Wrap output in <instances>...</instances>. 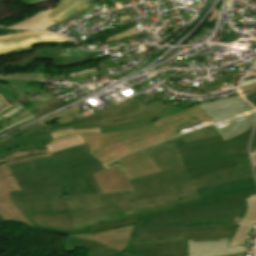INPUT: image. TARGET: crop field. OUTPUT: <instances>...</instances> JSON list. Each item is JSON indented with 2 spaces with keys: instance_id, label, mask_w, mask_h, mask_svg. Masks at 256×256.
Returning <instances> with one entry per match:
<instances>
[{
  "instance_id": "8a807250",
  "label": "crop field",
  "mask_w": 256,
  "mask_h": 256,
  "mask_svg": "<svg viewBox=\"0 0 256 256\" xmlns=\"http://www.w3.org/2000/svg\"><path fill=\"white\" fill-rule=\"evenodd\" d=\"M9 168L21 189L11 192V199L34 228L65 234L89 232L88 227L74 230L64 201L101 193L91 173L104 166L89 154L85 144Z\"/></svg>"
},
{
  "instance_id": "ac0d7876",
  "label": "crop field",
  "mask_w": 256,
  "mask_h": 256,
  "mask_svg": "<svg viewBox=\"0 0 256 256\" xmlns=\"http://www.w3.org/2000/svg\"><path fill=\"white\" fill-rule=\"evenodd\" d=\"M256 111L227 120L217 126L220 136L185 144L174 141L183 164L129 179L135 200L170 194L169 187L213 171L238 166L237 159L248 157L247 143Z\"/></svg>"
},
{
  "instance_id": "34b2d1b8",
  "label": "crop field",
  "mask_w": 256,
  "mask_h": 256,
  "mask_svg": "<svg viewBox=\"0 0 256 256\" xmlns=\"http://www.w3.org/2000/svg\"><path fill=\"white\" fill-rule=\"evenodd\" d=\"M253 109L237 95L196 104L138 128L108 133L81 134V136L90 154L92 153L98 160L106 164L127 153L176 136V134H182L180 129L195 123L206 121L216 123Z\"/></svg>"
},
{
  "instance_id": "412701ff",
  "label": "crop field",
  "mask_w": 256,
  "mask_h": 256,
  "mask_svg": "<svg viewBox=\"0 0 256 256\" xmlns=\"http://www.w3.org/2000/svg\"><path fill=\"white\" fill-rule=\"evenodd\" d=\"M65 201L74 228L89 226L91 234L136 224L139 216L131 191L82 196Z\"/></svg>"
},
{
  "instance_id": "f4fd0767",
  "label": "crop field",
  "mask_w": 256,
  "mask_h": 256,
  "mask_svg": "<svg viewBox=\"0 0 256 256\" xmlns=\"http://www.w3.org/2000/svg\"><path fill=\"white\" fill-rule=\"evenodd\" d=\"M180 110L182 109L172 104L165 107L159 101L144 109L130 98L109 109L51 127L48 130L52 132L65 128L80 129L93 127H100L101 132L124 130L148 124L155 119Z\"/></svg>"
},
{
  "instance_id": "dd49c442",
  "label": "crop field",
  "mask_w": 256,
  "mask_h": 256,
  "mask_svg": "<svg viewBox=\"0 0 256 256\" xmlns=\"http://www.w3.org/2000/svg\"><path fill=\"white\" fill-rule=\"evenodd\" d=\"M256 194L255 190L222 195L206 200H195L173 208L142 214L137 227L162 224L182 220L212 217H242L245 210L244 198Z\"/></svg>"
},
{
  "instance_id": "e52e79f7",
  "label": "crop field",
  "mask_w": 256,
  "mask_h": 256,
  "mask_svg": "<svg viewBox=\"0 0 256 256\" xmlns=\"http://www.w3.org/2000/svg\"><path fill=\"white\" fill-rule=\"evenodd\" d=\"M238 163L239 167L206 174L171 187L173 194L136 202L140 214L199 199L194 188L213 185L253 175L248 158L240 159L238 160Z\"/></svg>"
},
{
  "instance_id": "d8731c3e",
  "label": "crop field",
  "mask_w": 256,
  "mask_h": 256,
  "mask_svg": "<svg viewBox=\"0 0 256 256\" xmlns=\"http://www.w3.org/2000/svg\"><path fill=\"white\" fill-rule=\"evenodd\" d=\"M116 162H119L126 179L160 171L182 163L173 141L168 144L164 141L142 149L105 166L108 167Z\"/></svg>"
},
{
  "instance_id": "5a996713",
  "label": "crop field",
  "mask_w": 256,
  "mask_h": 256,
  "mask_svg": "<svg viewBox=\"0 0 256 256\" xmlns=\"http://www.w3.org/2000/svg\"><path fill=\"white\" fill-rule=\"evenodd\" d=\"M48 155L49 153L47 149L43 148L13 153L0 160V218L3 221L21 222L32 227L10 199L9 192L19 190V187L11 175L7 165Z\"/></svg>"
},
{
  "instance_id": "3316defc",
  "label": "crop field",
  "mask_w": 256,
  "mask_h": 256,
  "mask_svg": "<svg viewBox=\"0 0 256 256\" xmlns=\"http://www.w3.org/2000/svg\"><path fill=\"white\" fill-rule=\"evenodd\" d=\"M47 127L39 122L7 137L0 139V159L20 150L45 147L44 143L52 140Z\"/></svg>"
},
{
  "instance_id": "28ad6ade",
  "label": "crop field",
  "mask_w": 256,
  "mask_h": 256,
  "mask_svg": "<svg viewBox=\"0 0 256 256\" xmlns=\"http://www.w3.org/2000/svg\"><path fill=\"white\" fill-rule=\"evenodd\" d=\"M180 234H184L185 238L183 239L232 238L234 231L210 230V231H199V232H186V233H178V234H170V235L141 237V238H135L132 240L149 239V238H157V237L180 235ZM177 240H181V239H177ZM163 252H164V241L129 245L126 251V253L132 254L135 256H163Z\"/></svg>"
},
{
  "instance_id": "d1516ede",
  "label": "crop field",
  "mask_w": 256,
  "mask_h": 256,
  "mask_svg": "<svg viewBox=\"0 0 256 256\" xmlns=\"http://www.w3.org/2000/svg\"><path fill=\"white\" fill-rule=\"evenodd\" d=\"M55 41L68 40L53 33L34 31L0 36V55L31 48L30 43Z\"/></svg>"
},
{
  "instance_id": "22f410ed",
  "label": "crop field",
  "mask_w": 256,
  "mask_h": 256,
  "mask_svg": "<svg viewBox=\"0 0 256 256\" xmlns=\"http://www.w3.org/2000/svg\"><path fill=\"white\" fill-rule=\"evenodd\" d=\"M229 241L230 239L187 240L188 256H222L246 252L247 245L226 247Z\"/></svg>"
},
{
  "instance_id": "cbeb9de0",
  "label": "crop field",
  "mask_w": 256,
  "mask_h": 256,
  "mask_svg": "<svg viewBox=\"0 0 256 256\" xmlns=\"http://www.w3.org/2000/svg\"><path fill=\"white\" fill-rule=\"evenodd\" d=\"M136 225H130L102 233H97L90 235L87 234H81V235H72L76 237H83L88 238L94 241L102 242L111 245L112 247L125 252L128 243L131 239V236L133 234V230Z\"/></svg>"
},
{
  "instance_id": "5142ce71",
  "label": "crop field",
  "mask_w": 256,
  "mask_h": 256,
  "mask_svg": "<svg viewBox=\"0 0 256 256\" xmlns=\"http://www.w3.org/2000/svg\"><path fill=\"white\" fill-rule=\"evenodd\" d=\"M102 193L131 190L119 166L93 173Z\"/></svg>"
},
{
  "instance_id": "d9b57169",
  "label": "crop field",
  "mask_w": 256,
  "mask_h": 256,
  "mask_svg": "<svg viewBox=\"0 0 256 256\" xmlns=\"http://www.w3.org/2000/svg\"><path fill=\"white\" fill-rule=\"evenodd\" d=\"M255 188H256V184L252 176V177L235 180L231 182H226L222 184H217L213 186L197 188L196 191L200 199L203 200V199L214 197L217 195L240 192V191H245V190H250Z\"/></svg>"
},
{
  "instance_id": "733c2abd",
  "label": "crop field",
  "mask_w": 256,
  "mask_h": 256,
  "mask_svg": "<svg viewBox=\"0 0 256 256\" xmlns=\"http://www.w3.org/2000/svg\"><path fill=\"white\" fill-rule=\"evenodd\" d=\"M92 132H100V130L99 128L80 129V130L65 129V130L53 132L51 134L54 140L46 143L45 145L48 148L50 153L55 152L58 150L83 144L84 141L82 140L79 133H92Z\"/></svg>"
},
{
  "instance_id": "4a817a6b",
  "label": "crop field",
  "mask_w": 256,
  "mask_h": 256,
  "mask_svg": "<svg viewBox=\"0 0 256 256\" xmlns=\"http://www.w3.org/2000/svg\"><path fill=\"white\" fill-rule=\"evenodd\" d=\"M75 247L90 249L88 256H126L101 243L75 237H68L63 250L73 251Z\"/></svg>"
},
{
  "instance_id": "bc2a9ffb",
  "label": "crop field",
  "mask_w": 256,
  "mask_h": 256,
  "mask_svg": "<svg viewBox=\"0 0 256 256\" xmlns=\"http://www.w3.org/2000/svg\"><path fill=\"white\" fill-rule=\"evenodd\" d=\"M236 227L237 225H233V224H221V225H199V226H191V227L167 228V229L137 232L133 234L132 238L140 237V236L160 235V234H170V233L210 230V229L235 230Z\"/></svg>"
},
{
  "instance_id": "214f88e0",
  "label": "crop field",
  "mask_w": 256,
  "mask_h": 256,
  "mask_svg": "<svg viewBox=\"0 0 256 256\" xmlns=\"http://www.w3.org/2000/svg\"><path fill=\"white\" fill-rule=\"evenodd\" d=\"M240 219L241 218H213V219H205V220L174 222V223H168V224H162V225L142 227V228L136 229L134 232L158 229V228H166V227L191 226V225H199V224H221V223L238 224Z\"/></svg>"
},
{
  "instance_id": "92a150f3",
  "label": "crop field",
  "mask_w": 256,
  "mask_h": 256,
  "mask_svg": "<svg viewBox=\"0 0 256 256\" xmlns=\"http://www.w3.org/2000/svg\"><path fill=\"white\" fill-rule=\"evenodd\" d=\"M219 135L216 128L213 125L206 126L204 128L197 129L192 132H188L186 134H183L181 136L175 137L173 139L168 140V142L176 139L183 138L185 143L200 140V139H205L213 136Z\"/></svg>"
},
{
  "instance_id": "dafd665d",
  "label": "crop field",
  "mask_w": 256,
  "mask_h": 256,
  "mask_svg": "<svg viewBox=\"0 0 256 256\" xmlns=\"http://www.w3.org/2000/svg\"><path fill=\"white\" fill-rule=\"evenodd\" d=\"M81 116H84V114L80 110H78L75 106H72V107L65 109L57 114L49 116L41 121H42V123H45V122L57 119L58 123L60 124V123H63V122H66V121H69L72 119L79 118Z\"/></svg>"
},
{
  "instance_id": "00972430",
  "label": "crop field",
  "mask_w": 256,
  "mask_h": 256,
  "mask_svg": "<svg viewBox=\"0 0 256 256\" xmlns=\"http://www.w3.org/2000/svg\"><path fill=\"white\" fill-rule=\"evenodd\" d=\"M164 256H187L186 240L165 242Z\"/></svg>"
},
{
  "instance_id": "a9b5d70f",
  "label": "crop field",
  "mask_w": 256,
  "mask_h": 256,
  "mask_svg": "<svg viewBox=\"0 0 256 256\" xmlns=\"http://www.w3.org/2000/svg\"><path fill=\"white\" fill-rule=\"evenodd\" d=\"M246 200V210L240 223H256V195Z\"/></svg>"
},
{
  "instance_id": "4177f3b9",
  "label": "crop field",
  "mask_w": 256,
  "mask_h": 256,
  "mask_svg": "<svg viewBox=\"0 0 256 256\" xmlns=\"http://www.w3.org/2000/svg\"><path fill=\"white\" fill-rule=\"evenodd\" d=\"M251 226H252V224H239V226H238L232 240L228 244V246L244 244V241L249 233Z\"/></svg>"
},
{
  "instance_id": "730fd06b",
  "label": "crop field",
  "mask_w": 256,
  "mask_h": 256,
  "mask_svg": "<svg viewBox=\"0 0 256 256\" xmlns=\"http://www.w3.org/2000/svg\"><path fill=\"white\" fill-rule=\"evenodd\" d=\"M77 2L79 1L78 0H62L55 6V8L50 13H48L45 16V18L53 20L54 18H56L58 15H60L62 12H64L65 10H67L69 7H71Z\"/></svg>"
},
{
  "instance_id": "eef30255",
  "label": "crop field",
  "mask_w": 256,
  "mask_h": 256,
  "mask_svg": "<svg viewBox=\"0 0 256 256\" xmlns=\"http://www.w3.org/2000/svg\"><path fill=\"white\" fill-rule=\"evenodd\" d=\"M93 1H97V0H80L79 3L75 4L74 6L69 8L67 11L62 13L60 16H58L56 19H54V21L60 22L73 14L83 11L84 9L88 8L84 4H86L88 2H93Z\"/></svg>"
},
{
  "instance_id": "ae1a2a85",
  "label": "crop field",
  "mask_w": 256,
  "mask_h": 256,
  "mask_svg": "<svg viewBox=\"0 0 256 256\" xmlns=\"http://www.w3.org/2000/svg\"><path fill=\"white\" fill-rule=\"evenodd\" d=\"M28 81L41 82V81H38V80L0 79L1 83H7V84L22 86L20 89L17 90L20 93H43V91L26 88Z\"/></svg>"
},
{
  "instance_id": "d3111659",
  "label": "crop field",
  "mask_w": 256,
  "mask_h": 256,
  "mask_svg": "<svg viewBox=\"0 0 256 256\" xmlns=\"http://www.w3.org/2000/svg\"><path fill=\"white\" fill-rule=\"evenodd\" d=\"M141 34L138 29L136 28V26L131 27L119 34L113 35L111 37L106 38L107 40L104 41H100V42H96V43H92V44H97V43H102V42H107V41H112V40H118V39H123V38H127V37H131L134 35H138ZM89 45V44H86Z\"/></svg>"
},
{
  "instance_id": "750c4746",
  "label": "crop field",
  "mask_w": 256,
  "mask_h": 256,
  "mask_svg": "<svg viewBox=\"0 0 256 256\" xmlns=\"http://www.w3.org/2000/svg\"><path fill=\"white\" fill-rule=\"evenodd\" d=\"M48 103H51L50 105L46 106L45 108L41 109L40 111H38L37 113L33 114L35 117L51 110V109H54V108H57L59 106H62V105H65L67 104V102L62 98V99H59V98H56V99H51V100H48Z\"/></svg>"
},
{
  "instance_id": "bd1437ed",
  "label": "crop field",
  "mask_w": 256,
  "mask_h": 256,
  "mask_svg": "<svg viewBox=\"0 0 256 256\" xmlns=\"http://www.w3.org/2000/svg\"><path fill=\"white\" fill-rule=\"evenodd\" d=\"M6 77H13V78H29V79H42V74H32V75H6Z\"/></svg>"
},
{
  "instance_id": "1d83c4d3",
  "label": "crop field",
  "mask_w": 256,
  "mask_h": 256,
  "mask_svg": "<svg viewBox=\"0 0 256 256\" xmlns=\"http://www.w3.org/2000/svg\"><path fill=\"white\" fill-rule=\"evenodd\" d=\"M255 149H256V128H255V131H254L252 139H251L250 151L255 150Z\"/></svg>"
},
{
  "instance_id": "120bbe31",
  "label": "crop field",
  "mask_w": 256,
  "mask_h": 256,
  "mask_svg": "<svg viewBox=\"0 0 256 256\" xmlns=\"http://www.w3.org/2000/svg\"><path fill=\"white\" fill-rule=\"evenodd\" d=\"M10 105L0 96V111L8 108Z\"/></svg>"
},
{
  "instance_id": "d32e631a",
  "label": "crop field",
  "mask_w": 256,
  "mask_h": 256,
  "mask_svg": "<svg viewBox=\"0 0 256 256\" xmlns=\"http://www.w3.org/2000/svg\"><path fill=\"white\" fill-rule=\"evenodd\" d=\"M246 99L256 107V93L246 97Z\"/></svg>"
},
{
  "instance_id": "5866460e",
  "label": "crop field",
  "mask_w": 256,
  "mask_h": 256,
  "mask_svg": "<svg viewBox=\"0 0 256 256\" xmlns=\"http://www.w3.org/2000/svg\"><path fill=\"white\" fill-rule=\"evenodd\" d=\"M252 89H256V83H255V84H252V85H249V86H246V87L241 88V91H242V93H244V92H247V91H251Z\"/></svg>"
},
{
  "instance_id": "028f5c9d",
  "label": "crop field",
  "mask_w": 256,
  "mask_h": 256,
  "mask_svg": "<svg viewBox=\"0 0 256 256\" xmlns=\"http://www.w3.org/2000/svg\"><path fill=\"white\" fill-rule=\"evenodd\" d=\"M217 10L214 9V11L212 12L211 16L209 17L208 21L210 20H214L217 17Z\"/></svg>"
},
{
  "instance_id": "e1f06a70",
  "label": "crop field",
  "mask_w": 256,
  "mask_h": 256,
  "mask_svg": "<svg viewBox=\"0 0 256 256\" xmlns=\"http://www.w3.org/2000/svg\"><path fill=\"white\" fill-rule=\"evenodd\" d=\"M251 157H252V161L254 166L256 165V151H251Z\"/></svg>"
},
{
  "instance_id": "0bd39190",
  "label": "crop field",
  "mask_w": 256,
  "mask_h": 256,
  "mask_svg": "<svg viewBox=\"0 0 256 256\" xmlns=\"http://www.w3.org/2000/svg\"><path fill=\"white\" fill-rule=\"evenodd\" d=\"M111 1L116 5L117 8L121 7V4L119 2L121 0H111Z\"/></svg>"
},
{
  "instance_id": "b80d0937",
  "label": "crop field",
  "mask_w": 256,
  "mask_h": 256,
  "mask_svg": "<svg viewBox=\"0 0 256 256\" xmlns=\"http://www.w3.org/2000/svg\"><path fill=\"white\" fill-rule=\"evenodd\" d=\"M253 92H256V90L251 91V92H248V93H244V94H242V95L245 97V96H247V95H249V94H251V93H253Z\"/></svg>"
},
{
  "instance_id": "c035e120",
  "label": "crop field",
  "mask_w": 256,
  "mask_h": 256,
  "mask_svg": "<svg viewBox=\"0 0 256 256\" xmlns=\"http://www.w3.org/2000/svg\"><path fill=\"white\" fill-rule=\"evenodd\" d=\"M24 4L28 3V2H31V1H34V0H21Z\"/></svg>"
},
{
  "instance_id": "c21b1889",
  "label": "crop field",
  "mask_w": 256,
  "mask_h": 256,
  "mask_svg": "<svg viewBox=\"0 0 256 256\" xmlns=\"http://www.w3.org/2000/svg\"><path fill=\"white\" fill-rule=\"evenodd\" d=\"M244 253H239V254H234V255H228V256H239V255H243Z\"/></svg>"
},
{
  "instance_id": "03da06ac",
  "label": "crop field",
  "mask_w": 256,
  "mask_h": 256,
  "mask_svg": "<svg viewBox=\"0 0 256 256\" xmlns=\"http://www.w3.org/2000/svg\"><path fill=\"white\" fill-rule=\"evenodd\" d=\"M254 169H255V173H256V166L254 167Z\"/></svg>"
},
{
  "instance_id": "b54c1fbb",
  "label": "crop field",
  "mask_w": 256,
  "mask_h": 256,
  "mask_svg": "<svg viewBox=\"0 0 256 256\" xmlns=\"http://www.w3.org/2000/svg\"><path fill=\"white\" fill-rule=\"evenodd\" d=\"M145 1H147V0H145Z\"/></svg>"
}]
</instances>
